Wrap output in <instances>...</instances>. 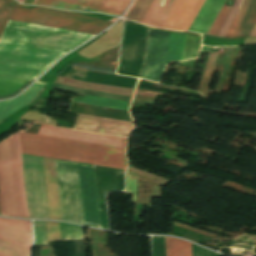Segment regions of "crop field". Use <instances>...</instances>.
Listing matches in <instances>:
<instances>
[{
  "instance_id": "1",
  "label": "crop field",
  "mask_w": 256,
  "mask_h": 256,
  "mask_svg": "<svg viewBox=\"0 0 256 256\" xmlns=\"http://www.w3.org/2000/svg\"><path fill=\"white\" fill-rule=\"evenodd\" d=\"M10 19L94 34L111 24L110 22L50 9L27 10L17 4L14 6ZM11 20L8 21L1 42L67 53L95 36L94 34Z\"/></svg>"
},
{
  "instance_id": "2",
  "label": "crop field",
  "mask_w": 256,
  "mask_h": 256,
  "mask_svg": "<svg viewBox=\"0 0 256 256\" xmlns=\"http://www.w3.org/2000/svg\"><path fill=\"white\" fill-rule=\"evenodd\" d=\"M22 153L125 169L124 149L19 132Z\"/></svg>"
},
{
  "instance_id": "3",
  "label": "crop field",
  "mask_w": 256,
  "mask_h": 256,
  "mask_svg": "<svg viewBox=\"0 0 256 256\" xmlns=\"http://www.w3.org/2000/svg\"><path fill=\"white\" fill-rule=\"evenodd\" d=\"M0 209L4 216L29 218L18 133L0 142Z\"/></svg>"
},
{
  "instance_id": "4",
  "label": "crop field",
  "mask_w": 256,
  "mask_h": 256,
  "mask_svg": "<svg viewBox=\"0 0 256 256\" xmlns=\"http://www.w3.org/2000/svg\"><path fill=\"white\" fill-rule=\"evenodd\" d=\"M63 55L0 43V74L35 80Z\"/></svg>"
},
{
  "instance_id": "5",
  "label": "crop field",
  "mask_w": 256,
  "mask_h": 256,
  "mask_svg": "<svg viewBox=\"0 0 256 256\" xmlns=\"http://www.w3.org/2000/svg\"><path fill=\"white\" fill-rule=\"evenodd\" d=\"M176 0H154L142 24L161 28ZM204 0H177L162 28L187 31Z\"/></svg>"
},
{
  "instance_id": "6",
  "label": "crop field",
  "mask_w": 256,
  "mask_h": 256,
  "mask_svg": "<svg viewBox=\"0 0 256 256\" xmlns=\"http://www.w3.org/2000/svg\"><path fill=\"white\" fill-rule=\"evenodd\" d=\"M62 220L84 224L77 163L55 160Z\"/></svg>"
},
{
  "instance_id": "7",
  "label": "crop field",
  "mask_w": 256,
  "mask_h": 256,
  "mask_svg": "<svg viewBox=\"0 0 256 256\" xmlns=\"http://www.w3.org/2000/svg\"><path fill=\"white\" fill-rule=\"evenodd\" d=\"M31 222L0 218V256H29Z\"/></svg>"
},
{
  "instance_id": "8",
  "label": "crop field",
  "mask_w": 256,
  "mask_h": 256,
  "mask_svg": "<svg viewBox=\"0 0 256 256\" xmlns=\"http://www.w3.org/2000/svg\"><path fill=\"white\" fill-rule=\"evenodd\" d=\"M170 33L150 30L141 78L158 82L165 67Z\"/></svg>"
},
{
  "instance_id": "9",
  "label": "crop field",
  "mask_w": 256,
  "mask_h": 256,
  "mask_svg": "<svg viewBox=\"0 0 256 256\" xmlns=\"http://www.w3.org/2000/svg\"><path fill=\"white\" fill-rule=\"evenodd\" d=\"M85 224L100 227L94 167L78 163Z\"/></svg>"
},
{
  "instance_id": "10",
  "label": "crop field",
  "mask_w": 256,
  "mask_h": 256,
  "mask_svg": "<svg viewBox=\"0 0 256 256\" xmlns=\"http://www.w3.org/2000/svg\"><path fill=\"white\" fill-rule=\"evenodd\" d=\"M38 134L124 148L125 139L42 125Z\"/></svg>"
},
{
  "instance_id": "11",
  "label": "crop field",
  "mask_w": 256,
  "mask_h": 256,
  "mask_svg": "<svg viewBox=\"0 0 256 256\" xmlns=\"http://www.w3.org/2000/svg\"><path fill=\"white\" fill-rule=\"evenodd\" d=\"M132 123L80 114L75 129L126 137Z\"/></svg>"
},
{
  "instance_id": "12",
  "label": "crop field",
  "mask_w": 256,
  "mask_h": 256,
  "mask_svg": "<svg viewBox=\"0 0 256 256\" xmlns=\"http://www.w3.org/2000/svg\"><path fill=\"white\" fill-rule=\"evenodd\" d=\"M256 25V0H245L225 38L250 36Z\"/></svg>"
},
{
  "instance_id": "13",
  "label": "crop field",
  "mask_w": 256,
  "mask_h": 256,
  "mask_svg": "<svg viewBox=\"0 0 256 256\" xmlns=\"http://www.w3.org/2000/svg\"><path fill=\"white\" fill-rule=\"evenodd\" d=\"M225 1L206 0L189 31L207 34Z\"/></svg>"
},
{
  "instance_id": "14",
  "label": "crop field",
  "mask_w": 256,
  "mask_h": 256,
  "mask_svg": "<svg viewBox=\"0 0 256 256\" xmlns=\"http://www.w3.org/2000/svg\"><path fill=\"white\" fill-rule=\"evenodd\" d=\"M50 219L60 220L54 160L43 158Z\"/></svg>"
},
{
  "instance_id": "15",
  "label": "crop field",
  "mask_w": 256,
  "mask_h": 256,
  "mask_svg": "<svg viewBox=\"0 0 256 256\" xmlns=\"http://www.w3.org/2000/svg\"><path fill=\"white\" fill-rule=\"evenodd\" d=\"M44 85L45 84L35 83L16 98L0 102V121L30 103Z\"/></svg>"
},
{
  "instance_id": "16",
  "label": "crop field",
  "mask_w": 256,
  "mask_h": 256,
  "mask_svg": "<svg viewBox=\"0 0 256 256\" xmlns=\"http://www.w3.org/2000/svg\"><path fill=\"white\" fill-rule=\"evenodd\" d=\"M106 1L107 0H79L77 6L100 11V9L103 7ZM130 1L131 0H129L128 2L127 0H108L107 3L104 5V7L101 9V11L118 15L122 7L127 2L125 7L119 14L120 16Z\"/></svg>"
},
{
  "instance_id": "17",
  "label": "crop field",
  "mask_w": 256,
  "mask_h": 256,
  "mask_svg": "<svg viewBox=\"0 0 256 256\" xmlns=\"http://www.w3.org/2000/svg\"><path fill=\"white\" fill-rule=\"evenodd\" d=\"M55 82L74 86V87H80V88H86V89H92V90H98V91H104V92H110V93H116V94H122V95H128V96H131L133 91L130 89L77 81V80L68 79L60 76H57Z\"/></svg>"
},
{
  "instance_id": "18",
  "label": "crop field",
  "mask_w": 256,
  "mask_h": 256,
  "mask_svg": "<svg viewBox=\"0 0 256 256\" xmlns=\"http://www.w3.org/2000/svg\"><path fill=\"white\" fill-rule=\"evenodd\" d=\"M27 82H28V80L0 76V96H5V95L14 93L16 90H18L20 87H22ZM31 82H33V81L28 82L26 85H24L18 91H16L14 94L5 96V97H0V99L11 97V96L18 94L25 87H27Z\"/></svg>"
},
{
  "instance_id": "19",
  "label": "crop field",
  "mask_w": 256,
  "mask_h": 256,
  "mask_svg": "<svg viewBox=\"0 0 256 256\" xmlns=\"http://www.w3.org/2000/svg\"><path fill=\"white\" fill-rule=\"evenodd\" d=\"M53 88L68 91V92H72V93H78V94H84V95H90V96H96V97H102V98H108V99H114V100H120V101H126V102H129L130 98H131V97H128V96H122V95H116V94H110V93H104V92L74 88V87L60 85V84H56V83H53Z\"/></svg>"
},
{
  "instance_id": "20",
  "label": "crop field",
  "mask_w": 256,
  "mask_h": 256,
  "mask_svg": "<svg viewBox=\"0 0 256 256\" xmlns=\"http://www.w3.org/2000/svg\"><path fill=\"white\" fill-rule=\"evenodd\" d=\"M165 244L166 256H191L188 242L165 237Z\"/></svg>"
},
{
  "instance_id": "21",
  "label": "crop field",
  "mask_w": 256,
  "mask_h": 256,
  "mask_svg": "<svg viewBox=\"0 0 256 256\" xmlns=\"http://www.w3.org/2000/svg\"><path fill=\"white\" fill-rule=\"evenodd\" d=\"M185 35L171 33L167 62L181 61Z\"/></svg>"
},
{
  "instance_id": "22",
  "label": "crop field",
  "mask_w": 256,
  "mask_h": 256,
  "mask_svg": "<svg viewBox=\"0 0 256 256\" xmlns=\"http://www.w3.org/2000/svg\"><path fill=\"white\" fill-rule=\"evenodd\" d=\"M73 101L94 104V105H100V106H106V107H112V108H118V109H124V110H127V107L129 104L126 102H120V101H114V100H108V99H102V98H96V97H90V96H86L81 99L74 98Z\"/></svg>"
},
{
  "instance_id": "23",
  "label": "crop field",
  "mask_w": 256,
  "mask_h": 256,
  "mask_svg": "<svg viewBox=\"0 0 256 256\" xmlns=\"http://www.w3.org/2000/svg\"><path fill=\"white\" fill-rule=\"evenodd\" d=\"M152 1L153 0H137L127 13L126 18L141 23Z\"/></svg>"
},
{
  "instance_id": "24",
  "label": "crop field",
  "mask_w": 256,
  "mask_h": 256,
  "mask_svg": "<svg viewBox=\"0 0 256 256\" xmlns=\"http://www.w3.org/2000/svg\"><path fill=\"white\" fill-rule=\"evenodd\" d=\"M200 42L201 38L186 35L182 61L198 56Z\"/></svg>"
},
{
  "instance_id": "25",
  "label": "crop field",
  "mask_w": 256,
  "mask_h": 256,
  "mask_svg": "<svg viewBox=\"0 0 256 256\" xmlns=\"http://www.w3.org/2000/svg\"><path fill=\"white\" fill-rule=\"evenodd\" d=\"M61 240L83 239L82 227L59 223Z\"/></svg>"
},
{
  "instance_id": "26",
  "label": "crop field",
  "mask_w": 256,
  "mask_h": 256,
  "mask_svg": "<svg viewBox=\"0 0 256 256\" xmlns=\"http://www.w3.org/2000/svg\"><path fill=\"white\" fill-rule=\"evenodd\" d=\"M14 4L12 0H0V39Z\"/></svg>"
},
{
  "instance_id": "27",
  "label": "crop field",
  "mask_w": 256,
  "mask_h": 256,
  "mask_svg": "<svg viewBox=\"0 0 256 256\" xmlns=\"http://www.w3.org/2000/svg\"><path fill=\"white\" fill-rule=\"evenodd\" d=\"M243 0H236L233 7L231 8L218 36H222L224 37L226 31L228 30L230 24L232 23L234 17L236 16L241 4H242Z\"/></svg>"
},
{
  "instance_id": "28",
  "label": "crop field",
  "mask_w": 256,
  "mask_h": 256,
  "mask_svg": "<svg viewBox=\"0 0 256 256\" xmlns=\"http://www.w3.org/2000/svg\"><path fill=\"white\" fill-rule=\"evenodd\" d=\"M153 256H165L164 237H152Z\"/></svg>"
},
{
  "instance_id": "29",
  "label": "crop field",
  "mask_w": 256,
  "mask_h": 256,
  "mask_svg": "<svg viewBox=\"0 0 256 256\" xmlns=\"http://www.w3.org/2000/svg\"><path fill=\"white\" fill-rule=\"evenodd\" d=\"M230 8L223 6L222 10L220 11L218 17L216 18L215 22L213 23L211 29L209 30L208 34L216 35L218 29L220 28L222 22L224 21L226 15L228 14Z\"/></svg>"
},
{
  "instance_id": "30",
  "label": "crop field",
  "mask_w": 256,
  "mask_h": 256,
  "mask_svg": "<svg viewBox=\"0 0 256 256\" xmlns=\"http://www.w3.org/2000/svg\"><path fill=\"white\" fill-rule=\"evenodd\" d=\"M48 241L60 240L58 223L46 222Z\"/></svg>"
},
{
  "instance_id": "31",
  "label": "crop field",
  "mask_w": 256,
  "mask_h": 256,
  "mask_svg": "<svg viewBox=\"0 0 256 256\" xmlns=\"http://www.w3.org/2000/svg\"><path fill=\"white\" fill-rule=\"evenodd\" d=\"M136 183H137V174L127 171L126 190L134 192V202H136Z\"/></svg>"
},
{
  "instance_id": "32",
  "label": "crop field",
  "mask_w": 256,
  "mask_h": 256,
  "mask_svg": "<svg viewBox=\"0 0 256 256\" xmlns=\"http://www.w3.org/2000/svg\"><path fill=\"white\" fill-rule=\"evenodd\" d=\"M78 0H55L52 7L66 9V10H74Z\"/></svg>"
},
{
  "instance_id": "33",
  "label": "crop field",
  "mask_w": 256,
  "mask_h": 256,
  "mask_svg": "<svg viewBox=\"0 0 256 256\" xmlns=\"http://www.w3.org/2000/svg\"><path fill=\"white\" fill-rule=\"evenodd\" d=\"M128 171L137 172V173H139V174H141L143 176H146V177H148V178H150V179H152V180H154V181H156V182H158V183H160V184H162L164 186H166L167 183L169 182V180H167V179H164L162 177L150 174V173L145 172V171L137 170V169H134V168H130L129 167Z\"/></svg>"
},
{
  "instance_id": "34",
  "label": "crop field",
  "mask_w": 256,
  "mask_h": 256,
  "mask_svg": "<svg viewBox=\"0 0 256 256\" xmlns=\"http://www.w3.org/2000/svg\"><path fill=\"white\" fill-rule=\"evenodd\" d=\"M54 0H36L35 4L51 7Z\"/></svg>"
},
{
  "instance_id": "35",
  "label": "crop field",
  "mask_w": 256,
  "mask_h": 256,
  "mask_svg": "<svg viewBox=\"0 0 256 256\" xmlns=\"http://www.w3.org/2000/svg\"><path fill=\"white\" fill-rule=\"evenodd\" d=\"M135 94H138V95H145V96H152V97H155L156 95H153V94H146V93H139V92H136Z\"/></svg>"
},
{
  "instance_id": "36",
  "label": "crop field",
  "mask_w": 256,
  "mask_h": 256,
  "mask_svg": "<svg viewBox=\"0 0 256 256\" xmlns=\"http://www.w3.org/2000/svg\"><path fill=\"white\" fill-rule=\"evenodd\" d=\"M34 0H25L24 4H33Z\"/></svg>"
},
{
  "instance_id": "37",
  "label": "crop field",
  "mask_w": 256,
  "mask_h": 256,
  "mask_svg": "<svg viewBox=\"0 0 256 256\" xmlns=\"http://www.w3.org/2000/svg\"><path fill=\"white\" fill-rule=\"evenodd\" d=\"M132 103H139V104H147V105H153V104H150V103H143V102H136V101H133Z\"/></svg>"
},
{
  "instance_id": "38",
  "label": "crop field",
  "mask_w": 256,
  "mask_h": 256,
  "mask_svg": "<svg viewBox=\"0 0 256 256\" xmlns=\"http://www.w3.org/2000/svg\"><path fill=\"white\" fill-rule=\"evenodd\" d=\"M138 91V90H137ZM139 92H144V91H139ZM146 93H153V92H146ZM153 94H160V95H163L161 93H153Z\"/></svg>"
},
{
  "instance_id": "39",
  "label": "crop field",
  "mask_w": 256,
  "mask_h": 256,
  "mask_svg": "<svg viewBox=\"0 0 256 256\" xmlns=\"http://www.w3.org/2000/svg\"><path fill=\"white\" fill-rule=\"evenodd\" d=\"M19 2L23 3L24 0H18Z\"/></svg>"
}]
</instances>
